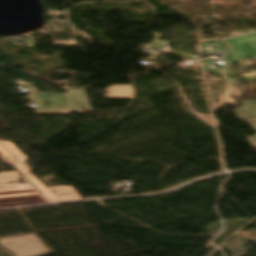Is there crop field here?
<instances>
[{
    "label": "crop field",
    "instance_id": "crop-field-3",
    "mask_svg": "<svg viewBox=\"0 0 256 256\" xmlns=\"http://www.w3.org/2000/svg\"><path fill=\"white\" fill-rule=\"evenodd\" d=\"M0 207L45 203L42 197L37 194L28 183L24 184H0Z\"/></svg>",
    "mask_w": 256,
    "mask_h": 256
},
{
    "label": "crop field",
    "instance_id": "crop-field-5",
    "mask_svg": "<svg viewBox=\"0 0 256 256\" xmlns=\"http://www.w3.org/2000/svg\"><path fill=\"white\" fill-rule=\"evenodd\" d=\"M20 176L15 171L0 172V183L17 181Z\"/></svg>",
    "mask_w": 256,
    "mask_h": 256
},
{
    "label": "crop field",
    "instance_id": "crop-field-2",
    "mask_svg": "<svg viewBox=\"0 0 256 256\" xmlns=\"http://www.w3.org/2000/svg\"><path fill=\"white\" fill-rule=\"evenodd\" d=\"M0 251L6 256H42L51 253L34 233L0 238Z\"/></svg>",
    "mask_w": 256,
    "mask_h": 256
},
{
    "label": "crop field",
    "instance_id": "crop-field-4",
    "mask_svg": "<svg viewBox=\"0 0 256 256\" xmlns=\"http://www.w3.org/2000/svg\"><path fill=\"white\" fill-rule=\"evenodd\" d=\"M103 93L105 99H132L130 85H111Z\"/></svg>",
    "mask_w": 256,
    "mask_h": 256
},
{
    "label": "crop field",
    "instance_id": "crop-field-1",
    "mask_svg": "<svg viewBox=\"0 0 256 256\" xmlns=\"http://www.w3.org/2000/svg\"><path fill=\"white\" fill-rule=\"evenodd\" d=\"M0 157L6 163L13 165L49 202L81 199L72 187L58 186L46 188L28 171L31 168L23 162L28 158L11 143L0 141ZM52 190L56 191L53 193Z\"/></svg>",
    "mask_w": 256,
    "mask_h": 256
},
{
    "label": "crop field",
    "instance_id": "crop-field-6",
    "mask_svg": "<svg viewBox=\"0 0 256 256\" xmlns=\"http://www.w3.org/2000/svg\"><path fill=\"white\" fill-rule=\"evenodd\" d=\"M42 93H32V102H41Z\"/></svg>",
    "mask_w": 256,
    "mask_h": 256
}]
</instances>
